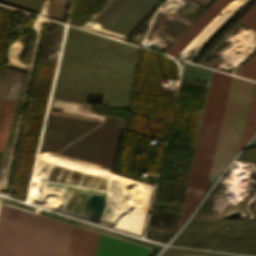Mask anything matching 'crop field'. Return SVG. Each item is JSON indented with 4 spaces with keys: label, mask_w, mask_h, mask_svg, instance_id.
<instances>
[{
    "label": "crop field",
    "mask_w": 256,
    "mask_h": 256,
    "mask_svg": "<svg viewBox=\"0 0 256 256\" xmlns=\"http://www.w3.org/2000/svg\"><path fill=\"white\" fill-rule=\"evenodd\" d=\"M248 26L256 29V4L240 19ZM256 81V53L254 56L236 73Z\"/></svg>",
    "instance_id": "dd49c442"
},
{
    "label": "crop field",
    "mask_w": 256,
    "mask_h": 256,
    "mask_svg": "<svg viewBox=\"0 0 256 256\" xmlns=\"http://www.w3.org/2000/svg\"><path fill=\"white\" fill-rule=\"evenodd\" d=\"M185 228H225L223 231H181L170 245L256 255V220H190ZM223 230V229H183Z\"/></svg>",
    "instance_id": "412701ff"
},
{
    "label": "crop field",
    "mask_w": 256,
    "mask_h": 256,
    "mask_svg": "<svg viewBox=\"0 0 256 256\" xmlns=\"http://www.w3.org/2000/svg\"><path fill=\"white\" fill-rule=\"evenodd\" d=\"M240 159H247L256 162V149H251L243 153Z\"/></svg>",
    "instance_id": "3316defc"
},
{
    "label": "crop field",
    "mask_w": 256,
    "mask_h": 256,
    "mask_svg": "<svg viewBox=\"0 0 256 256\" xmlns=\"http://www.w3.org/2000/svg\"><path fill=\"white\" fill-rule=\"evenodd\" d=\"M251 211L256 213V200L251 204Z\"/></svg>",
    "instance_id": "d1516ede"
},
{
    "label": "crop field",
    "mask_w": 256,
    "mask_h": 256,
    "mask_svg": "<svg viewBox=\"0 0 256 256\" xmlns=\"http://www.w3.org/2000/svg\"><path fill=\"white\" fill-rule=\"evenodd\" d=\"M5 103H6L5 101L0 100V123H1L2 115H3ZM13 105L14 104L8 103V102L6 104V108H5V112H4V116H3V120H2V124H1V128H0V150L3 149V145H4V141H5V137H6V133H7V129H8L12 109H13Z\"/></svg>",
    "instance_id": "d8731c3e"
},
{
    "label": "crop field",
    "mask_w": 256,
    "mask_h": 256,
    "mask_svg": "<svg viewBox=\"0 0 256 256\" xmlns=\"http://www.w3.org/2000/svg\"><path fill=\"white\" fill-rule=\"evenodd\" d=\"M161 256H204V255H195V254L164 251Z\"/></svg>",
    "instance_id": "28ad6ade"
},
{
    "label": "crop field",
    "mask_w": 256,
    "mask_h": 256,
    "mask_svg": "<svg viewBox=\"0 0 256 256\" xmlns=\"http://www.w3.org/2000/svg\"><path fill=\"white\" fill-rule=\"evenodd\" d=\"M230 0H217L165 53L175 56Z\"/></svg>",
    "instance_id": "f4fd0767"
},
{
    "label": "crop field",
    "mask_w": 256,
    "mask_h": 256,
    "mask_svg": "<svg viewBox=\"0 0 256 256\" xmlns=\"http://www.w3.org/2000/svg\"><path fill=\"white\" fill-rule=\"evenodd\" d=\"M249 81L232 78L221 129L216 145L209 180L215 177L230 160L233 154L238 129L249 88ZM256 132V83L250 84L239 134L233 154L234 156Z\"/></svg>",
    "instance_id": "34b2d1b8"
},
{
    "label": "crop field",
    "mask_w": 256,
    "mask_h": 256,
    "mask_svg": "<svg viewBox=\"0 0 256 256\" xmlns=\"http://www.w3.org/2000/svg\"><path fill=\"white\" fill-rule=\"evenodd\" d=\"M229 205L231 204L224 197L212 198L208 196L193 219L217 218L218 212Z\"/></svg>",
    "instance_id": "e52e79f7"
},
{
    "label": "crop field",
    "mask_w": 256,
    "mask_h": 256,
    "mask_svg": "<svg viewBox=\"0 0 256 256\" xmlns=\"http://www.w3.org/2000/svg\"><path fill=\"white\" fill-rule=\"evenodd\" d=\"M231 78L214 70L197 140L216 142ZM202 141L196 143L177 231L205 193L216 143Z\"/></svg>",
    "instance_id": "ac0d7876"
},
{
    "label": "crop field",
    "mask_w": 256,
    "mask_h": 256,
    "mask_svg": "<svg viewBox=\"0 0 256 256\" xmlns=\"http://www.w3.org/2000/svg\"><path fill=\"white\" fill-rule=\"evenodd\" d=\"M30 212L2 204L0 256H21ZM150 249L37 214L22 256H145Z\"/></svg>",
    "instance_id": "8a807250"
},
{
    "label": "crop field",
    "mask_w": 256,
    "mask_h": 256,
    "mask_svg": "<svg viewBox=\"0 0 256 256\" xmlns=\"http://www.w3.org/2000/svg\"><path fill=\"white\" fill-rule=\"evenodd\" d=\"M43 2L50 4L51 0H44ZM67 4L68 0H52L49 13L63 19Z\"/></svg>",
    "instance_id": "5a996713"
}]
</instances>
